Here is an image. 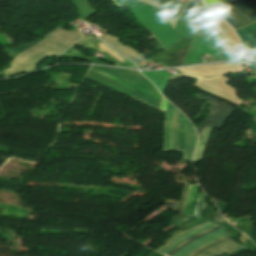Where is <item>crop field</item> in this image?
<instances>
[{
  "label": "crop field",
  "instance_id": "crop-field-1",
  "mask_svg": "<svg viewBox=\"0 0 256 256\" xmlns=\"http://www.w3.org/2000/svg\"><path fill=\"white\" fill-rule=\"evenodd\" d=\"M81 36L72 31L64 29H56L48 35L44 36L45 39L39 41L36 44H30L14 49H8L14 54H19L10 64L12 68L6 69L4 72L7 77L16 76L26 71L35 69L43 60L49 57L60 55L65 51L72 43L79 40Z\"/></svg>",
  "mask_w": 256,
  "mask_h": 256
},
{
  "label": "crop field",
  "instance_id": "crop-field-2",
  "mask_svg": "<svg viewBox=\"0 0 256 256\" xmlns=\"http://www.w3.org/2000/svg\"><path fill=\"white\" fill-rule=\"evenodd\" d=\"M226 11L219 13L217 16L230 23L234 29L248 25L256 21V7L250 9L245 4L234 1L223 5ZM240 36L243 47L242 51L252 59H256V22L236 29Z\"/></svg>",
  "mask_w": 256,
  "mask_h": 256
},
{
  "label": "crop field",
  "instance_id": "crop-field-3",
  "mask_svg": "<svg viewBox=\"0 0 256 256\" xmlns=\"http://www.w3.org/2000/svg\"><path fill=\"white\" fill-rule=\"evenodd\" d=\"M90 70L113 79L161 103L162 95L139 71L106 66H92Z\"/></svg>",
  "mask_w": 256,
  "mask_h": 256
},
{
  "label": "crop field",
  "instance_id": "crop-field-4",
  "mask_svg": "<svg viewBox=\"0 0 256 256\" xmlns=\"http://www.w3.org/2000/svg\"><path fill=\"white\" fill-rule=\"evenodd\" d=\"M196 138L197 135L194 127L189 120L179 112L174 149L184 151V160L191 159Z\"/></svg>",
  "mask_w": 256,
  "mask_h": 256
},
{
  "label": "crop field",
  "instance_id": "crop-field-5",
  "mask_svg": "<svg viewBox=\"0 0 256 256\" xmlns=\"http://www.w3.org/2000/svg\"><path fill=\"white\" fill-rule=\"evenodd\" d=\"M197 97L212 103L210 106V114L204 123L197 129L199 135L201 134L204 126L220 129L228 120L229 116L235 111L234 108L217 100L208 98L202 94L198 93Z\"/></svg>",
  "mask_w": 256,
  "mask_h": 256
},
{
  "label": "crop field",
  "instance_id": "crop-field-6",
  "mask_svg": "<svg viewBox=\"0 0 256 256\" xmlns=\"http://www.w3.org/2000/svg\"><path fill=\"white\" fill-rule=\"evenodd\" d=\"M251 64H215L181 68L180 71L202 76L240 73Z\"/></svg>",
  "mask_w": 256,
  "mask_h": 256
},
{
  "label": "crop field",
  "instance_id": "crop-field-7",
  "mask_svg": "<svg viewBox=\"0 0 256 256\" xmlns=\"http://www.w3.org/2000/svg\"><path fill=\"white\" fill-rule=\"evenodd\" d=\"M104 41H106L108 44L113 46L115 49L120 51L122 54H124L129 59L135 61L137 64L141 65L142 61L144 60V57L134 50L130 49L129 47L125 46L124 44L118 42L116 37L109 35L108 33L103 35L101 37Z\"/></svg>",
  "mask_w": 256,
  "mask_h": 256
},
{
  "label": "crop field",
  "instance_id": "crop-field-8",
  "mask_svg": "<svg viewBox=\"0 0 256 256\" xmlns=\"http://www.w3.org/2000/svg\"><path fill=\"white\" fill-rule=\"evenodd\" d=\"M224 235H226V233L222 229H220L214 233H211L205 237H202V238H199V239L193 241L192 243H190L187 246H185L184 248H182L179 252H177L173 256H187L188 254H190L197 248H199V247H201L219 237H222Z\"/></svg>",
  "mask_w": 256,
  "mask_h": 256
},
{
  "label": "crop field",
  "instance_id": "crop-field-9",
  "mask_svg": "<svg viewBox=\"0 0 256 256\" xmlns=\"http://www.w3.org/2000/svg\"><path fill=\"white\" fill-rule=\"evenodd\" d=\"M239 248H241V246H239L235 241L230 239L209 249L207 248L208 250L198 254L197 256H220L222 254L235 251Z\"/></svg>",
  "mask_w": 256,
  "mask_h": 256
},
{
  "label": "crop field",
  "instance_id": "crop-field-10",
  "mask_svg": "<svg viewBox=\"0 0 256 256\" xmlns=\"http://www.w3.org/2000/svg\"><path fill=\"white\" fill-rule=\"evenodd\" d=\"M187 186L188 185L184 183L183 193L180 201L164 199V205L182 212L184 200L186 198Z\"/></svg>",
  "mask_w": 256,
  "mask_h": 256
},
{
  "label": "crop field",
  "instance_id": "crop-field-11",
  "mask_svg": "<svg viewBox=\"0 0 256 256\" xmlns=\"http://www.w3.org/2000/svg\"><path fill=\"white\" fill-rule=\"evenodd\" d=\"M100 43H102L104 46H106L107 48H109L111 51H113L114 53H116L114 50H112L110 47H108L106 44H104L102 41H100ZM102 44H100V46H102L103 48H105L107 51H109L110 53H112L113 55H115L116 57L120 56L118 53L114 54L113 52H111L109 49H107L106 47H104ZM102 47L99 48L100 51L108 54L112 59H114L115 61H117L118 63L116 64L117 66H124V67H132V68H136V66L131 63L130 61L124 59L122 56H120L121 58H123L125 61H127V64H124L122 62H120L118 59H116L114 56H112L110 53H108L106 50H104ZM120 57H118L120 60H122L123 62H125L123 59H121ZM126 63V62H125Z\"/></svg>",
  "mask_w": 256,
  "mask_h": 256
},
{
  "label": "crop field",
  "instance_id": "crop-field-12",
  "mask_svg": "<svg viewBox=\"0 0 256 256\" xmlns=\"http://www.w3.org/2000/svg\"><path fill=\"white\" fill-rule=\"evenodd\" d=\"M218 228H220V227H219V226H216V227H214V228H212V229H210V230H207V231H205V232H202V233H200V234H197V235H195V236L190 237V238L187 239L185 242L181 243L180 245H178L177 247H175L173 250H171L169 253H167V255H169V256L173 255L175 252H177L178 250H180L182 247H184V246H185L186 244H188L189 242H191V241H193V240H195V239H197V238H199V237H201V236H204V235H206V234H208V233H210V232H212V231H214V230H216V229H218Z\"/></svg>",
  "mask_w": 256,
  "mask_h": 256
},
{
  "label": "crop field",
  "instance_id": "crop-field-13",
  "mask_svg": "<svg viewBox=\"0 0 256 256\" xmlns=\"http://www.w3.org/2000/svg\"><path fill=\"white\" fill-rule=\"evenodd\" d=\"M205 199L206 196L204 193L199 192L198 194V199H197V204H196V209H195V216L201 217L203 215V211H204V206H205Z\"/></svg>",
  "mask_w": 256,
  "mask_h": 256
},
{
  "label": "crop field",
  "instance_id": "crop-field-14",
  "mask_svg": "<svg viewBox=\"0 0 256 256\" xmlns=\"http://www.w3.org/2000/svg\"><path fill=\"white\" fill-rule=\"evenodd\" d=\"M214 226H215V225L210 224V225H208V226H206V227H204V228H201V229H199V230H196V231H194V232H192V233L187 234L186 236H184V237H182L181 239L177 240L174 244H172L169 248H167L166 250H164L162 253L166 254L167 252H169L171 249H173L175 246H177L179 243H181V242H182L183 240H185L186 238H188V237H190V236H192V235H194V234H197V233H199V232H202V231H204V230H206V229H209V228H211V227H214Z\"/></svg>",
  "mask_w": 256,
  "mask_h": 256
},
{
  "label": "crop field",
  "instance_id": "crop-field-15",
  "mask_svg": "<svg viewBox=\"0 0 256 256\" xmlns=\"http://www.w3.org/2000/svg\"><path fill=\"white\" fill-rule=\"evenodd\" d=\"M130 97H132V98H134V99H136V100H139V101H141V102H143V103H145V104H147V105H150V106H152V107H154V108H158V106H159V103H157V102H155V101H152V100H150V99H148V98H146V97H144V96H142V95H140V94H138V93H136V92H134L133 94H131L130 95Z\"/></svg>",
  "mask_w": 256,
  "mask_h": 256
},
{
  "label": "crop field",
  "instance_id": "crop-field-16",
  "mask_svg": "<svg viewBox=\"0 0 256 256\" xmlns=\"http://www.w3.org/2000/svg\"><path fill=\"white\" fill-rule=\"evenodd\" d=\"M78 42L88 49H91L92 47L97 49L98 39L93 36L80 40Z\"/></svg>",
  "mask_w": 256,
  "mask_h": 256
},
{
  "label": "crop field",
  "instance_id": "crop-field-17",
  "mask_svg": "<svg viewBox=\"0 0 256 256\" xmlns=\"http://www.w3.org/2000/svg\"><path fill=\"white\" fill-rule=\"evenodd\" d=\"M228 239H230V237H229L228 235H226V236H224V237H222V238H220V239H217V240H215V241H213V242H211V243L205 245L204 247H202V248H200V249L194 251V252H193L192 254H190L189 256H195V255H197L198 253L204 251L207 247L216 245V244L221 243V242H223V241H226V240H228Z\"/></svg>",
  "mask_w": 256,
  "mask_h": 256
},
{
  "label": "crop field",
  "instance_id": "crop-field-18",
  "mask_svg": "<svg viewBox=\"0 0 256 256\" xmlns=\"http://www.w3.org/2000/svg\"><path fill=\"white\" fill-rule=\"evenodd\" d=\"M208 224H210V222H206V223H204V224H201V225H199V226H196V227H194V228H191V229H188V230L182 232L181 234H179V235H177L176 237H174L171 241H169L166 245H164L163 247H161L158 251H161V250H163V249L169 247L173 242H175V241H176L180 236H182L183 234H185V233H187V232H189V231H191V230L204 227V226H206V225H208Z\"/></svg>",
  "mask_w": 256,
  "mask_h": 256
},
{
  "label": "crop field",
  "instance_id": "crop-field-19",
  "mask_svg": "<svg viewBox=\"0 0 256 256\" xmlns=\"http://www.w3.org/2000/svg\"><path fill=\"white\" fill-rule=\"evenodd\" d=\"M204 149H205L204 145L201 143L200 139H198V145H197V149H196L193 161L201 162Z\"/></svg>",
  "mask_w": 256,
  "mask_h": 256
},
{
  "label": "crop field",
  "instance_id": "crop-field-20",
  "mask_svg": "<svg viewBox=\"0 0 256 256\" xmlns=\"http://www.w3.org/2000/svg\"><path fill=\"white\" fill-rule=\"evenodd\" d=\"M62 56H65V57H75V58H85L81 53H79L77 50H75L72 46L68 50H66L62 54Z\"/></svg>",
  "mask_w": 256,
  "mask_h": 256
},
{
  "label": "crop field",
  "instance_id": "crop-field-21",
  "mask_svg": "<svg viewBox=\"0 0 256 256\" xmlns=\"http://www.w3.org/2000/svg\"><path fill=\"white\" fill-rule=\"evenodd\" d=\"M212 130L213 129H211V128L205 127V129L203 130V132H202V134L200 136V138L202 139V141H203L205 146H206V144L208 142V139L210 137V134H211Z\"/></svg>",
  "mask_w": 256,
  "mask_h": 256
},
{
  "label": "crop field",
  "instance_id": "crop-field-22",
  "mask_svg": "<svg viewBox=\"0 0 256 256\" xmlns=\"http://www.w3.org/2000/svg\"><path fill=\"white\" fill-rule=\"evenodd\" d=\"M222 221H223V218H222L220 212H219L218 209H217V213H216V217H215V221H214V222L221 225V224H222Z\"/></svg>",
  "mask_w": 256,
  "mask_h": 256
},
{
  "label": "crop field",
  "instance_id": "crop-field-23",
  "mask_svg": "<svg viewBox=\"0 0 256 256\" xmlns=\"http://www.w3.org/2000/svg\"><path fill=\"white\" fill-rule=\"evenodd\" d=\"M119 7L133 0H113Z\"/></svg>",
  "mask_w": 256,
  "mask_h": 256
},
{
  "label": "crop field",
  "instance_id": "crop-field-24",
  "mask_svg": "<svg viewBox=\"0 0 256 256\" xmlns=\"http://www.w3.org/2000/svg\"><path fill=\"white\" fill-rule=\"evenodd\" d=\"M141 4H144V3H142V2H132L128 5H126V6L129 7L130 9H132V8L138 6V5H141Z\"/></svg>",
  "mask_w": 256,
  "mask_h": 256
}]
</instances>
